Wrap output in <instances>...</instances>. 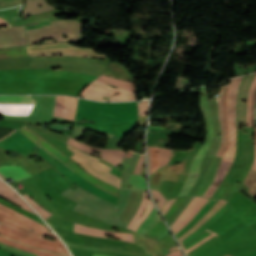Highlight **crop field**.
Masks as SVG:
<instances>
[{"label": "crop field", "mask_w": 256, "mask_h": 256, "mask_svg": "<svg viewBox=\"0 0 256 256\" xmlns=\"http://www.w3.org/2000/svg\"><path fill=\"white\" fill-rule=\"evenodd\" d=\"M6 103H31L35 101L29 96H0V104ZM34 105L30 104H6L0 105V112L9 115H29Z\"/></svg>", "instance_id": "15"}, {"label": "crop field", "mask_w": 256, "mask_h": 256, "mask_svg": "<svg viewBox=\"0 0 256 256\" xmlns=\"http://www.w3.org/2000/svg\"><path fill=\"white\" fill-rule=\"evenodd\" d=\"M148 102L149 101H142L141 103L138 104L139 115H147Z\"/></svg>", "instance_id": "41"}, {"label": "crop field", "mask_w": 256, "mask_h": 256, "mask_svg": "<svg viewBox=\"0 0 256 256\" xmlns=\"http://www.w3.org/2000/svg\"><path fill=\"white\" fill-rule=\"evenodd\" d=\"M0 235L43 250L69 254L65 246L51 244L46 241L39 240L33 236H28L2 223H0Z\"/></svg>", "instance_id": "13"}, {"label": "crop field", "mask_w": 256, "mask_h": 256, "mask_svg": "<svg viewBox=\"0 0 256 256\" xmlns=\"http://www.w3.org/2000/svg\"><path fill=\"white\" fill-rule=\"evenodd\" d=\"M75 232L82 233V234H88V235L101 236V237H105L104 234L108 233V234L115 235V237L121 238V240L133 242L132 234L113 233V232H109V231L84 227V226L76 224V223H75Z\"/></svg>", "instance_id": "22"}, {"label": "crop field", "mask_w": 256, "mask_h": 256, "mask_svg": "<svg viewBox=\"0 0 256 256\" xmlns=\"http://www.w3.org/2000/svg\"><path fill=\"white\" fill-rule=\"evenodd\" d=\"M0 173L2 175H4L5 177H7V178L11 177L12 179L15 180V182H17V181H19V180H21L23 178H27V177L31 176L29 173H27L20 166L15 167L14 165H11V166H1L0 167ZM1 174H0V177L2 179L6 180L7 178L2 176Z\"/></svg>", "instance_id": "23"}, {"label": "crop field", "mask_w": 256, "mask_h": 256, "mask_svg": "<svg viewBox=\"0 0 256 256\" xmlns=\"http://www.w3.org/2000/svg\"><path fill=\"white\" fill-rule=\"evenodd\" d=\"M215 236H217L216 233L211 232L210 230H206L202 235H200L198 238H196L194 241H192L191 243H189L188 245L182 247L184 252L187 254H189L191 251H193L194 249H196L197 247L203 245L204 243H206L207 241L211 240L212 238H214Z\"/></svg>", "instance_id": "29"}, {"label": "crop field", "mask_w": 256, "mask_h": 256, "mask_svg": "<svg viewBox=\"0 0 256 256\" xmlns=\"http://www.w3.org/2000/svg\"><path fill=\"white\" fill-rule=\"evenodd\" d=\"M130 190L123 189L121 191L119 206L93 196L74 184L63 192L62 195L78 202L74 208L75 210L107 223L124 227L119 217L125 208Z\"/></svg>", "instance_id": "2"}, {"label": "crop field", "mask_w": 256, "mask_h": 256, "mask_svg": "<svg viewBox=\"0 0 256 256\" xmlns=\"http://www.w3.org/2000/svg\"><path fill=\"white\" fill-rule=\"evenodd\" d=\"M129 178H130V188L146 190V181L144 177L139 175L129 174Z\"/></svg>", "instance_id": "34"}, {"label": "crop field", "mask_w": 256, "mask_h": 256, "mask_svg": "<svg viewBox=\"0 0 256 256\" xmlns=\"http://www.w3.org/2000/svg\"><path fill=\"white\" fill-rule=\"evenodd\" d=\"M94 256H109V255H99V254H94Z\"/></svg>", "instance_id": "48"}, {"label": "crop field", "mask_w": 256, "mask_h": 256, "mask_svg": "<svg viewBox=\"0 0 256 256\" xmlns=\"http://www.w3.org/2000/svg\"><path fill=\"white\" fill-rule=\"evenodd\" d=\"M13 132H14V131H13ZM13 132H12V133H13ZM9 135H10V134H9ZM9 135H8V136H9ZM6 137H7V136H6ZM4 138H5V137H4Z\"/></svg>", "instance_id": "49"}, {"label": "crop field", "mask_w": 256, "mask_h": 256, "mask_svg": "<svg viewBox=\"0 0 256 256\" xmlns=\"http://www.w3.org/2000/svg\"><path fill=\"white\" fill-rule=\"evenodd\" d=\"M204 94V97H201V95ZM200 105L202 107V111H203V115L205 118V121L207 123V133H206V140H205V144L202 147V149L199 151V153L196 155L191 170H190V174H192L191 180L183 194V196L188 195L189 191L191 190L192 186L194 185V183L196 182L198 176H199V169H200V165L203 159V156L205 154V152L207 151V149L209 148L212 139H213V125L210 119V114H209V108H208V102H207V88L206 87H201L200 88ZM188 176V179L182 189V191L180 192L179 196L182 195L189 179H190V175Z\"/></svg>", "instance_id": "10"}, {"label": "crop field", "mask_w": 256, "mask_h": 256, "mask_svg": "<svg viewBox=\"0 0 256 256\" xmlns=\"http://www.w3.org/2000/svg\"><path fill=\"white\" fill-rule=\"evenodd\" d=\"M207 198L201 197L197 204L193 207V209L189 212L186 218L179 223L175 229L173 230L174 234L178 232L191 218L192 216L202 207V205L206 202Z\"/></svg>", "instance_id": "33"}, {"label": "crop field", "mask_w": 256, "mask_h": 256, "mask_svg": "<svg viewBox=\"0 0 256 256\" xmlns=\"http://www.w3.org/2000/svg\"><path fill=\"white\" fill-rule=\"evenodd\" d=\"M242 77L232 79L230 81V87L228 89L227 93V118L229 123V130H230V146L225 153L219 168L216 172L215 178L213 183L221 184L222 180L224 179L225 175L227 174L236 152V95L239 87V83L241 81ZM211 184V186L208 188V190L203 195L204 197L210 198V196L213 194L215 189L218 187L216 184Z\"/></svg>", "instance_id": "3"}, {"label": "crop field", "mask_w": 256, "mask_h": 256, "mask_svg": "<svg viewBox=\"0 0 256 256\" xmlns=\"http://www.w3.org/2000/svg\"><path fill=\"white\" fill-rule=\"evenodd\" d=\"M229 202L223 206L216 214H214L205 224H203L198 230H196L194 233H192L189 237H187L183 242H181V246L199 235L201 232L206 230L215 220H217L225 211H227L230 208Z\"/></svg>", "instance_id": "30"}, {"label": "crop field", "mask_w": 256, "mask_h": 256, "mask_svg": "<svg viewBox=\"0 0 256 256\" xmlns=\"http://www.w3.org/2000/svg\"><path fill=\"white\" fill-rule=\"evenodd\" d=\"M227 201L219 199L218 202L210 209V211L199 220L191 229L182 234L177 240L180 243L187 236H189L192 232L198 229L204 222H206L214 213H216L223 205H225Z\"/></svg>", "instance_id": "26"}, {"label": "crop field", "mask_w": 256, "mask_h": 256, "mask_svg": "<svg viewBox=\"0 0 256 256\" xmlns=\"http://www.w3.org/2000/svg\"><path fill=\"white\" fill-rule=\"evenodd\" d=\"M105 83L118 86L117 89L107 86ZM115 91L121 92L119 95L112 96L108 101H129L136 100L134 83L122 81L101 75L92 81L88 87L80 94L81 97L104 100L102 96L110 97Z\"/></svg>", "instance_id": "5"}, {"label": "crop field", "mask_w": 256, "mask_h": 256, "mask_svg": "<svg viewBox=\"0 0 256 256\" xmlns=\"http://www.w3.org/2000/svg\"><path fill=\"white\" fill-rule=\"evenodd\" d=\"M254 76L255 74L245 76L240 84L237 96V127L241 122L243 124L242 127L245 125L247 95ZM242 100H246V102L243 103Z\"/></svg>", "instance_id": "18"}, {"label": "crop field", "mask_w": 256, "mask_h": 256, "mask_svg": "<svg viewBox=\"0 0 256 256\" xmlns=\"http://www.w3.org/2000/svg\"><path fill=\"white\" fill-rule=\"evenodd\" d=\"M0 222L4 223L6 225H9L15 229H18L22 232H25L27 234L34 235L41 239H43L45 235L56 238L55 242L50 241V240H46V241H49L52 243H57V244H62L57 239V237L55 235L37 227L36 225H34L26 220H23L13 214H10L2 209H0ZM43 240H45V239H43Z\"/></svg>", "instance_id": "14"}, {"label": "crop field", "mask_w": 256, "mask_h": 256, "mask_svg": "<svg viewBox=\"0 0 256 256\" xmlns=\"http://www.w3.org/2000/svg\"><path fill=\"white\" fill-rule=\"evenodd\" d=\"M0 242L4 243V244H7V245H10V246H13V247H16V248H19V249H23V250H26V251H29V252L36 253V254H38V256H65V255H61V254H56V253L43 251V250H40V249H37V248H33V247H30V246L18 243V242H14V241L9 240L7 238H4L2 236H0Z\"/></svg>", "instance_id": "27"}, {"label": "crop field", "mask_w": 256, "mask_h": 256, "mask_svg": "<svg viewBox=\"0 0 256 256\" xmlns=\"http://www.w3.org/2000/svg\"><path fill=\"white\" fill-rule=\"evenodd\" d=\"M160 219L161 217L158 215L154 207V209L151 211V213L148 215V217L145 219V221L142 223L136 233L144 235V233L152 226H154Z\"/></svg>", "instance_id": "32"}, {"label": "crop field", "mask_w": 256, "mask_h": 256, "mask_svg": "<svg viewBox=\"0 0 256 256\" xmlns=\"http://www.w3.org/2000/svg\"><path fill=\"white\" fill-rule=\"evenodd\" d=\"M76 98L57 96L54 116L74 120Z\"/></svg>", "instance_id": "20"}, {"label": "crop field", "mask_w": 256, "mask_h": 256, "mask_svg": "<svg viewBox=\"0 0 256 256\" xmlns=\"http://www.w3.org/2000/svg\"><path fill=\"white\" fill-rule=\"evenodd\" d=\"M67 147H68V149L75 152L70 158L74 159L77 163H79L88 172H90L91 174L101 178L102 180L120 188L121 179L109 173L114 166L108 164L107 162H105L101 159L99 160L95 157H92L83 152H80L68 145H67ZM98 160L112 168L106 166L105 164L99 162Z\"/></svg>", "instance_id": "12"}, {"label": "crop field", "mask_w": 256, "mask_h": 256, "mask_svg": "<svg viewBox=\"0 0 256 256\" xmlns=\"http://www.w3.org/2000/svg\"><path fill=\"white\" fill-rule=\"evenodd\" d=\"M26 49H27L28 54L63 52V53L85 54V55H100V56L106 57V55H104V54L94 53L93 49H82V48L71 46L68 43L27 46ZM26 49H25V47L11 48V49H0V59L1 58H11V57H25V56H27ZM54 54L104 59V57H99V56H85V55L62 54V53L31 54L28 56H48V55H54Z\"/></svg>", "instance_id": "7"}, {"label": "crop field", "mask_w": 256, "mask_h": 256, "mask_svg": "<svg viewBox=\"0 0 256 256\" xmlns=\"http://www.w3.org/2000/svg\"><path fill=\"white\" fill-rule=\"evenodd\" d=\"M256 133V131H255ZM252 170H256V143H255V157H254V161H253V165H252Z\"/></svg>", "instance_id": "46"}, {"label": "crop field", "mask_w": 256, "mask_h": 256, "mask_svg": "<svg viewBox=\"0 0 256 256\" xmlns=\"http://www.w3.org/2000/svg\"><path fill=\"white\" fill-rule=\"evenodd\" d=\"M61 33H67L68 39H63ZM26 34L30 44L51 38L56 40L45 41V43L77 41L82 34V23L76 20H54L51 21V25L43 26L40 29L28 30Z\"/></svg>", "instance_id": "6"}, {"label": "crop field", "mask_w": 256, "mask_h": 256, "mask_svg": "<svg viewBox=\"0 0 256 256\" xmlns=\"http://www.w3.org/2000/svg\"><path fill=\"white\" fill-rule=\"evenodd\" d=\"M186 197H179L175 200V202L173 203V205L171 206V208L169 209V211L166 213V215L164 216L166 221H168V219L171 217V215L175 212V210L182 204V202L184 201ZM173 216V215H172Z\"/></svg>", "instance_id": "38"}, {"label": "crop field", "mask_w": 256, "mask_h": 256, "mask_svg": "<svg viewBox=\"0 0 256 256\" xmlns=\"http://www.w3.org/2000/svg\"><path fill=\"white\" fill-rule=\"evenodd\" d=\"M228 85L221 86L222 91L219 97L218 117L221 123V133H222L221 145L216 155L219 157H223L224 153L226 152L229 146V132H228L227 119H226V91L228 89Z\"/></svg>", "instance_id": "16"}, {"label": "crop field", "mask_w": 256, "mask_h": 256, "mask_svg": "<svg viewBox=\"0 0 256 256\" xmlns=\"http://www.w3.org/2000/svg\"><path fill=\"white\" fill-rule=\"evenodd\" d=\"M200 197L198 196H194V198L192 199V201L189 203V205L182 211L181 215L179 216V218L170 226L171 229L173 230L174 227L181 222L185 216L188 214V212L192 209V207L195 205V203L199 200Z\"/></svg>", "instance_id": "37"}, {"label": "crop field", "mask_w": 256, "mask_h": 256, "mask_svg": "<svg viewBox=\"0 0 256 256\" xmlns=\"http://www.w3.org/2000/svg\"><path fill=\"white\" fill-rule=\"evenodd\" d=\"M137 104L98 103L79 99L76 118L137 120Z\"/></svg>", "instance_id": "4"}, {"label": "crop field", "mask_w": 256, "mask_h": 256, "mask_svg": "<svg viewBox=\"0 0 256 256\" xmlns=\"http://www.w3.org/2000/svg\"><path fill=\"white\" fill-rule=\"evenodd\" d=\"M172 155L170 150L148 147L149 174H152L157 168L167 164Z\"/></svg>", "instance_id": "19"}, {"label": "crop field", "mask_w": 256, "mask_h": 256, "mask_svg": "<svg viewBox=\"0 0 256 256\" xmlns=\"http://www.w3.org/2000/svg\"><path fill=\"white\" fill-rule=\"evenodd\" d=\"M255 103H256V77L251 85L249 96H248L246 124L249 127L254 126Z\"/></svg>", "instance_id": "25"}, {"label": "crop field", "mask_w": 256, "mask_h": 256, "mask_svg": "<svg viewBox=\"0 0 256 256\" xmlns=\"http://www.w3.org/2000/svg\"><path fill=\"white\" fill-rule=\"evenodd\" d=\"M34 146H37L40 148V150L36 153L39 157H41L44 161L48 162L50 165H52L55 169H57L59 172H61L70 180L76 177L77 175H79L74 170H72L69 166L63 163L61 160L56 158L50 152H48L47 150L39 146L37 143L29 139L27 136H25L23 133H21L18 130L14 132L12 135H10L9 137L0 141V147L4 149L17 150L24 156L31 153ZM71 181H73L75 184H77L79 187L83 188L87 192L117 204L116 197L94 186L90 182L83 179L80 175Z\"/></svg>", "instance_id": "1"}, {"label": "crop field", "mask_w": 256, "mask_h": 256, "mask_svg": "<svg viewBox=\"0 0 256 256\" xmlns=\"http://www.w3.org/2000/svg\"><path fill=\"white\" fill-rule=\"evenodd\" d=\"M8 24L0 19V26H7Z\"/></svg>", "instance_id": "47"}, {"label": "crop field", "mask_w": 256, "mask_h": 256, "mask_svg": "<svg viewBox=\"0 0 256 256\" xmlns=\"http://www.w3.org/2000/svg\"><path fill=\"white\" fill-rule=\"evenodd\" d=\"M64 241L90 245L96 247H104V248H112V249H120V250H129V251H137V252H145L148 251L143 247L142 244L124 242L119 240L94 237L88 235H81L66 231L64 229L58 228L56 232Z\"/></svg>", "instance_id": "9"}, {"label": "crop field", "mask_w": 256, "mask_h": 256, "mask_svg": "<svg viewBox=\"0 0 256 256\" xmlns=\"http://www.w3.org/2000/svg\"><path fill=\"white\" fill-rule=\"evenodd\" d=\"M255 237L256 232L249 226L227 242L223 243L216 237L187 256H224L249 243Z\"/></svg>", "instance_id": "8"}, {"label": "crop field", "mask_w": 256, "mask_h": 256, "mask_svg": "<svg viewBox=\"0 0 256 256\" xmlns=\"http://www.w3.org/2000/svg\"><path fill=\"white\" fill-rule=\"evenodd\" d=\"M167 228L164 225L162 219L149 231L145 233V236L153 237L155 238L157 235L161 234L163 231H165Z\"/></svg>", "instance_id": "36"}, {"label": "crop field", "mask_w": 256, "mask_h": 256, "mask_svg": "<svg viewBox=\"0 0 256 256\" xmlns=\"http://www.w3.org/2000/svg\"><path fill=\"white\" fill-rule=\"evenodd\" d=\"M148 194L147 192L144 191L143 198L141 201V204L135 213L134 217L132 218L131 222L127 226V228L132 229L133 231L136 232L140 224L143 222V220L146 218V216L149 214V212L152 210L154 207L153 204L151 203L150 199H147ZM146 207L144 213L142 214V211ZM142 214V216H140Z\"/></svg>", "instance_id": "21"}, {"label": "crop field", "mask_w": 256, "mask_h": 256, "mask_svg": "<svg viewBox=\"0 0 256 256\" xmlns=\"http://www.w3.org/2000/svg\"><path fill=\"white\" fill-rule=\"evenodd\" d=\"M28 44L24 25L0 28V47Z\"/></svg>", "instance_id": "17"}, {"label": "crop field", "mask_w": 256, "mask_h": 256, "mask_svg": "<svg viewBox=\"0 0 256 256\" xmlns=\"http://www.w3.org/2000/svg\"><path fill=\"white\" fill-rule=\"evenodd\" d=\"M175 199L169 200L168 203L166 204L165 208L163 209L162 213L163 215L167 212V210L170 208V206L172 205L173 201Z\"/></svg>", "instance_id": "44"}, {"label": "crop field", "mask_w": 256, "mask_h": 256, "mask_svg": "<svg viewBox=\"0 0 256 256\" xmlns=\"http://www.w3.org/2000/svg\"><path fill=\"white\" fill-rule=\"evenodd\" d=\"M103 74L127 81H134L132 74L129 73L124 66L112 62H110L108 68L103 72Z\"/></svg>", "instance_id": "24"}, {"label": "crop field", "mask_w": 256, "mask_h": 256, "mask_svg": "<svg viewBox=\"0 0 256 256\" xmlns=\"http://www.w3.org/2000/svg\"><path fill=\"white\" fill-rule=\"evenodd\" d=\"M30 204L35 208V210L45 219L47 216L50 215V213L46 212L43 208H41L36 202H34L32 199L28 197L27 194L23 195Z\"/></svg>", "instance_id": "40"}, {"label": "crop field", "mask_w": 256, "mask_h": 256, "mask_svg": "<svg viewBox=\"0 0 256 256\" xmlns=\"http://www.w3.org/2000/svg\"><path fill=\"white\" fill-rule=\"evenodd\" d=\"M0 195L21 205L22 208L34 213L28 205L7 185H5L2 181H0ZM35 214V213H34Z\"/></svg>", "instance_id": "28"}, {"label": "crop field", "mask_w": 256, "mask_h": 256, "mask_svg": "<svg viewBox=\"0 0 256 256\" xmlns=\"http://www.w3.org/2000/svg\"><path fill=\"white\" fill-rule=\"evenodd\" d=\"M0 207H2V208H4V209H6V210H8V211H10V212H12V213L18 215V216H21V217H23V218H25V219H27V220H29V221L35 223L37 226H39V227H41V228L47 230V228H46L45 226H43V225H41V224H39V223H37V222H35V221L29 219V218H26V217H24V216H22V215H20V214H18V213H16V212H14V211L8 209V208H6L5 206H3V205H1V204H0ZM47 231H48V230H47Z\"/></svg>", "instance_id": "42"}, {"label": "crop field", "mask_w": 256, "mask_h": 256, "mask_svg": "<svg viewBox=\"0 0 256 256\" xmlns=\"http://www.w3.org/2000/svg\"><path fill=\"white\" fill-rule=\"evenodd\" d=\"M143 162H144V155H141L133 173H135V174H139L140 173V170L142 168Z\"/></svg>", "instance_id": "43"}, {"label": "crop field", "mask_w": 256, "mask_h": 256, "mask_svg": "<svg viewBox=\"0 0 256 256\" xmlns=\"http://www.w3.org/2000/svg\"><path fill=\"white\" fill-rule=\"evenodd\" d=\"M21 132H23L25 135H27L29 138L33 139L37 143H39L41 146H43L45 149L50 151L52 154L57 156L59 159H61L63 162H65L67 165H69L71 168H73L76 172H78L81 176L86 178L88 181L93 183L94 185L102 188L103 190L115 195L118 197L119 190L100 181L99 179L93 177L92 175L86 173L81 168H79L76 164H74L68 156H66L64 153H62L60 150L52 146L50 143H48L46 140H44L42 137H40L38 134H36L33 130L28 128L26 125L23 124L21 128H19Z\"/></svg>", "instance_id": "11"}, {"label": "crop field", "mask_w": 256, "mask_h": 256, "mask_svg": "<svg viewBox=\"0 0 256 256\" xmlns=\"http://www.w3.org/2000/svg\"><path fill=\"white\" fill-rule=\"evenodd\" d=\"M218 199H209L207 203L201 208V210L196 214V216L179 232L175 235L176 239L184 233L186 230L191 228L200 218H202L208 210L216 203Z\"/></svg>", "instance_id": "31"}, {"label": "crop field", "mask_w": 256, "mask_h": 256, "mask_svg": "<svg viewBox=\"0 0 256 256\" xmlns=\"http://www.w3.org/2000/svg\"><path fill=\"white\" fill-rule=\"evenodd\" d=\"M227 256H229V255H227Z\"/></svg>", "instance_id": "50"}, {"label": "crop field", "mask_w": 256, "mask_h": 256, "mask_svg": "<svg viewBox=\"0 0 256 256\" xmlns=\"http://www.w3.org/2000/svg\"><path fill=\"white\" fill-rule=\"evenodd\" d=\"M244 184L250 188L248 191L255 196L256 194V172L255 171L250 170Z\"/></svg>", "instance_id": "35"}, {"label": "crop field", "mask_w": 256, "mask_h": 256, "mask_svg": "<svg viewBox=\"0 0 256 256\" xmlns=\"http://www.w3.org/2000/svg\"><path fill=\"white\" fill-rule=\"evenodd\" d=\"M152 196L155 200V202L158 204L160 210L164 207L165 203H166V199L161 195V193L159 191L156 190H152Z\"/></svg>", "instance_id": "39"}, {"label": "crop field", "mask_w": 256, "mask_h": 256, "mask_svg": "<svg viewBox=\"0 0 256 256\" xmlns=\"http://www.w3.org/2000/svg\"><path fill=\"white\" fill-rule=\"evenodd\" d=\"M166 256H183V255H182L180 249H178V250H176V251H174V252H172V253H170Z\"/></svg>", "instance_id": "45"}]
</instances>
